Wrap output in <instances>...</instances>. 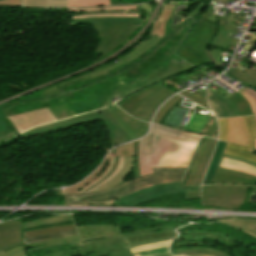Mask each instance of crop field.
Segmentation results:
<instances>
[{
    "instance_id": "crop-field-52",
    "label": "crop field",
    "mask_w": 256,
    "mask_h": 256,
    "mask_svg": "<svg viewBox=\"0 0 256 256\" xmlns=\"http://www.w3.org/2000/svg\"><path fill=\"white\" fill-rule=\"evenodd\" d=\"M118 159H119V157H115L114 164H113L112 169H111V171L109 172V174H108L106 177H104L101 181H99L97 184H95L93 187H95V186H97L98 184H100L103 180H105V179L114 171V169H115V167H116V165H117V163H118ZM93 187H91V188H93ZM91 188H89V189H91ZM89 189H88V190H89ZM88 190H86V191H88ZM86 191H84V192H86ZM84 192H82V193H84Z\"/></svg>"
},
{
    "instance_id": "crop-field-62",
    "label": "crop field",
    "mask_w": 256,
    "mask_h": 256,
    "mask_svg": "<svg viewBox=\"0 0 256 256\" xmlns=\"http://www.w3.org/2000/svg\"><path fill=\"white\" fill-rule=\"evenodd\" d=\"M108 155H110V153Z\"/></svg>"
},
{
    "instance_id": "crop-field-2",
    "label": "crop field",
    "mask_w": 256,
    "mask_h": 256,
    "mask_svg": "<svg viewBox=\"0 0 256 256\" xmlns=\"http://www.w3.org/2000/svg\"><path fill=\"white\" fill-rule=\"evenodd\" d=\"M176 227L142 229L122 233L123 238H113L80 244L78 236L27 245L28 256H127V247L166 241L175 238Z\"/></svg>"
},
{
    "instance_id": "crop-field-47",
    "label": "crop field",
    "mask_w": 256,
    "mask_h": 256,
    "mask_svg": "<svg viewBox=\"0 0 256 256\" xmlns=\"http://www.w3.org/2000/svg\"><path fill=\"white\" fill-rule=\"evenodd\" d=\"M153 0H111V5L114 4H135V3H144L151 2Z\"/></svg>"
},
{
    "instance_id": "crop-field-55",
    "label": "crop field",
    "mask_w": 256,
    "mask_h": 256,
    "mask_svg": "<svg viewBox=\"0 0 256 256\" xmlns=\"http://www.w3.org/2000/svg\"><path fill=\"white\" fill-rule=\"evenodd\" d=\"M203 139H204V137L202 138V140H201V142H200V144H199V147H200V145H201ZM199 147H198V149H199ZM198 149H197V151H196V153H195V155H194V157H193V159H192V161H191V163H190V166H189V168H188V170H187V173H186V176H185V178H184V182H183V186H182V187L185 186V182H186V178H187L188 172H189L190 167H191V165H192V163H193V161H194V159H195V157H196V154H197V152H198Z\"/></svg>"
},
{
    "instance_id": "crop-field-16",
    "label": "crop field",
    "mask_w": 256,
    "mask_h": 256,
    "mask_svg": "<svg viewBox=\"0 0 256 256\" xmlns=\"http://www.w3.org/2000/svg\"><path fill=\"white\" fill-rule=\"evenodd\" d=\"M76 228L78 229L81 243L105 238L121 237L119 226H79Z\"/></svg>"
},
{
    "instance_id": "crop-field-51",
    "label": "crop field",
    "mask_w": 256,
    "mask_h": 256,
    "mask_svg": "<svg viewBox=\"0 0 256 256\" xmlns=\"http://www.w3.org/2000/svg\"><path fill=\"white\" fill-rule=\"evenodd\" d=\"M0 5L20 6V0H0Z\"/></svg>"
},
{
    "instance_id": "crop-field-19",
    "label": "crop field",
    "mask_w": 256,
    "mask_h": 256,
    "mask_svg": "<svg viewBox=\"0 0 256 256\" xmlns=\"http://www.w3.org/2000/svg\"><path fill=\"white\" fill-rule=\"evenodd\" d=\"M229 142H233L239 145L247 147L248 136L244 117L229 118Z\"/></svg>"
},
{
    "instance_id": "crop-field-43",
    "label": "crop field",
    "mask_w": 256,
    "mask_h": 256,
    "mask_svg": "<svg viewBox=\"0 0 256 256\" xmlns=\"http://www.w3.org/2000/svg\"><path fill=\"white\" fill-rule=\"evenodd\" d=\"M217 121H218L219 129H220V137H219V139L227 141V138H228V128H227L226 119H219Z\"/></svg>"
},
{
    "instance_id": "crop-field-32",
    "label": "crop field",
    "mask_w": 256,
    "mask_h": 256,
    "mask_svg": "<svg viewBox=\"0 0 256 256\" xmlns=\"http://www.w3.org/2000/svg\"><path fill=\"white\" fill-rule=\"evenodd\" d=\"M67 221H72L71 216L70 215H61V216H57V217H53V218H45V219L38 220V221L23 223L22 229L38 227V226L52 224V223H58V222H67Z\"/></svg>"
},
{
    "instance_id": "crop-field-39",
    "label": "crop field",
    "mask_w": 256,
    "mask_h": 256,
    "mask_svg": "<svg viewBox=\"0 0 256 256\" xmlns=\"http://www.w3.org/2000/svg\"><path fill=\"white\" fill-rule=\"evenodd\" d=\"M250 104L253 114H256V92L247 86L238 91Z\"/></svg>"
},
{
    "instance_id": "crop-field-18",
    "label": "crop field",
    "mask_w": 256,
    "mask_h": 256,
    "mask_svg": "<svg viewBox=\"0 0 256 256\" xmlns=\"http://www.w3.org/2000/svg\"><path fill=\"white\" fill-rule=\"evenodd\" d=\"M208 105L214 111L216 117L225 118L239 116L235 106L228 99H225L208 90Z\"/></svg>"
},
{
    "instance_id": "crop-field-1",
    "label": "crop field",
    "mask_w": 256,
    "mask_h": 256,
    "mask_svg": "<svg viewBox=\"0 0 256 256\" xmlns=\"http://www.w3.org/2000/svg\"><path fill=\"white\" fill-rule=\"evenodd\" d=\"M190 23H193L192 19L187 20L185 25H183L178 32L171 35L163 45H160V48H157L155 52L151 53L144 61L138 64H130L126 69H124V71H121L112 77L96 84H92L89 87L82 88L81 90H76L44 101L24 102L19 105L2 109V111L7 117H9L66 103L70 111H73L75 114H81L109 106L112 104V100L117 97L122 98L127 94L157 82L166 76L190 69L193 66L172 54L188 31V25ZM172 57H175L180 61L175 66L168 62L169 58ZM88 88H91L94 93L92 99L88 100H98V102L91 104L89 108H85L78 105V102L86 100V97L80 99L79 96L80 91ZM7 117L5 120L6 127H8V129L0 132V143L18 134L17 130Z\"/></svg>"
},
{
    "instance_id": "crop-field-10",
    "label": "crop field",
    "mask_w": 256,
    "mask_h": 256,
    "mask_svg": "<svg viewBox=\"0 0 256 256\" xmlns=\"http://www.w3.org/2000/svg\"><path fill=\"white\" fill-rule=\"evenodd\" d=\"M200 187L181 188V182L167 183L147 188L114 202L115 205H136L165 195L199 191Z\"/></svg>"
},
{
    "instance_id": "crop-field-17",
    "label": "crop field",
    "mask_w": 256,
    "mask_h": 256,
    "mask_svg": "<svg viewBox=\"0 0 256 256\" xmlns=\"http://www.w3.org/2000/svg\"><path fill=\"white\" fill-rule=\"evenodd\" d=\"M212 184L256 185V177L219 167Z\"/></svg>"
},
{
    "instance_id": "crop-field-23",
    "label": "crop field",
    "mask_w": 256,
    "mask_h": 256,
    "mask_svg": "<svg viewBox=\"0 0 256 256\" xmlns=\"http://www.w3.org/2000/svg\"><path fill=\"white\" fill-rule=\"evenodd\" d=\"M174 4H164L153 25L151 35L162 37L164 35L165 21L169 19ZM161 18V20H159Z\"/></svg>"
},
{
    "instance_id": "crop-field-42",
    "label": "crop field",
    "mask_w": 256,
    "mask_h": 256,
    "mask_svg": "<svg viewBox=\"0 0 256 256\" xmlns=\"http://www.w3.org/2000/svg\"><path fill=\"white\" fill-rule=\"evenodd\" d=\"M169 244H170V241H166V242H160V243H154V244L132 247V248H129V249H130L131 253H134V252L151 250V249H156V248H161V247H167V246H169Z\"/></svg>"
},
{
    "instance_id": "crop-field-34",
    "label": "crop field",
    "mask_w": 256,
    "mask_h": 256,
    "mask_svg": "<svg viewBox=\"0 0 256 256\" xmlns=\"http://www.w3.org/2000/svg\"><path fill=\"white\" fill-rule=\"evenodd\" d=\"M73 229H76V228H75L74 224H71V225L51 227V228H45V229L24 232L22 234H23V238H27V237H34V236H38V235L66 231V230H73Z\"/></svg>"
},
{
    "instance_id": "crop-field-57",
    "label": "crop field",
    "mask_w": 256,
    "mask_h": 256,
    "mask_svg": "<svg viewBox=\"0 0 256 256\" xmlns=\"http://www.w3.org/2000/svg\"><path fill=\"white\" fill-rule=\"evenodd\" d=\"M185 196H186V199L197 198V197H200V193L199 192L185 193Z\"/></svg>"
},
{
    "instance_id": "crop-field-36",
    "label": "crop field",
    "mask_w": 256,
    "mask_h": 256,
    "mask_svg": "<svg viewBox=\"0 0 256 256\" xmlns=\"http://www.w3.org/2000/svg\"><path fill=\"white\" fill-rule=\"evenodd\" d=\"M110 5L109 0H68L67 7Z\"/></svg>"
},
{
    "instance_id": "crop-field-5",
    "label": "crop field",
    "mask_w": 256,
    "mask_h": 256,
    "mask_svg": "<svg viewBox=\"0 0 256 256\" xmlns=\"http://www.w3.org/2000/svg\"><path fill=\"white\" fill-rule=\"evenodd\" d=\"M109 163L110 157L107 156L101 166L91 176L70 188H65L68 204H112L115 199L143 188L160 183L181 181L187 169L182 167H156L152 168L154 174L132 179L115 188L92 194L75 195L98 179L106 171Z\"/></svg>"
},
{
    "instance_id": "crop-field-12",
    "label": "crop field",
    "mask_w": 256,
    "mask_h": 256,
    "mask_svg": "<svg viewBox=\"0 0 256 256\" xmlns=\"http://www.w3.org/2000/svg\"><path fill=\"white\" fill-rule=\"evenodd\" d=\"M70 19L97 17H140L136 5L68 9Z\"/></svg>"
},
{
    "instance_id": "crop-field-26",
    "label": "crop field",
    "mask_w": 256,
    "mask_h": 256,
    "mask_svg": "<svg viewBox=\"0 0 256 256\" xmlns=\"http://www.w3.org/2000/svg\"><path fill=\"white\" fill-rule=\"evenodd\" d=\"M252 152H253V149L228 143L224 153L233 155V156H238L252 162H256V156L253 155Z\"/></svg>"
},
{
    "instance_id": "crop-field-29",
    "label": "crop field",
    "mask_w": 256,
    "mask_h": 256,
    "mask_svg": "<svg viewBox=\"0 0 256 256\" xmlns=\"http://www.w3.org/2000/svg\"><path fill=\"white\" fill-rule=\"evenodd\" d=\"M75 235H77V232H76V230H73V231L43 235V236L34 237V238H27V239H23V241H24V245H27V244H32V243H38V242H43V241H48V240L64 238V237H71V236H75Z\"/></svg>"
},
{
    "instance_id": "crop-field-44",
    "label": "crop field",
    "mask_w": 256,
    "mask_h": 256,
    "mask_svg": "<svg viewBox=\"0 0 256 256\" xmlns=\"http://www.w3.org/2000/svg\"><path fill=\"white\" fill-rule=\"evenodd\" d=\"M116 155H133L132 143L117 147Z\"/></svg>"
},
{
    "instance_id": "crop-field-30",
    "label": "crop field",
    "mask_w": 256,
    "mask_h": 256,
    "mask_svg": "<svg viewBox=\"0 0 256 256\" xmlns=\"http://www.w3.org/2000/svg\"><path fill=\"white\" fill-rule=\"evenodd\" d=\"M210 141H211V139L205 138V140H204V142H203V144H202V146H201V148H200V150H199V152L197 154L195 162H194V164H193V166H192V168H191V170L189 172V175H188L185 187L192 186L194 175H195V173H196V171H197V169L199 167L201 159H202V157H203V155H204V153H205V151H206Z\"/></svg>"
},
{
    "instance_id": "crop-field-35",
    "label": "crop field",
    "mask_w": 256,
    "mask_h": 256,
    "mask_svg": "<svg viewBox=\"0 0 256 256\" xmlns=\"http://www.w3.org/2000/svg\"><path fill=\"white\" fill-rule=\"evenodd\" d=\"M182 232H202L204 233V238H207V239H213V240H218V241H222L226 244H229V243H236L238 244L239 241L233 239V238H230L228 236H225L223 234H220V233H216V232H213V231H202V230H187V231H181L180 233Z\"/></svg>"
},
{
    "instance_id": "crop-field-56",
    "label": "crop field",
    "mask_w": 256,
    "mask_h": 256,
    "mask_svg": "<svg viewBox=\"0 0 256 256\" xmlns=\"http://www.w3.org/2000/svg\"><path fill=\"white\" fill-rule=\"evenodd\" d=\"M177 255H185V256H212L206 253H187V254H177Z\"/></svg>"
},
{
    "instance_id": "crop-field-41",
    "label": "crop field",
    "mask_w": 256,
    "mask_h": 256,
    "mask_svg": "<svg viewBox=\"0 0 256 256\" xmlns=\"http://www.w3.org/2000/svg\"><path fill=\"white\" fill-rule=\"evenodd\" d=\"M245 118H246V122H247L248 136H249L248 147L254 149V138H256L255 120H254L253 116H248Z\"/></svg>"
},
{
    "instance_id": "crop-field-63",
    "label": "crop field",
    "mask_w": 256,
    "mask_h": 256,
    "mask_svg": "<svg viewBox=\"0 0 256 256\" xmlns=\"http://www.w3.org/2000/svg\"><path fill=\"white\" fill-rule=\"evenodd\" d=\"M206 1H208V0H206Z\"/></svg>"
},
{
    "instance_id": "crop-field-53",
    "label": "crop field",
    "mask_w": 256,
    "mask_h": 256,
    "mask_svg": "<svg viewBox=\"0 0 256 256\" xmlns=\"http://www.w3.org/2000/svg\"><path fill=\"white\" fill-rule=\"evenodd\" d=\"M113 161H114V157H111V163H110V166H109V168L107 169V171H106L98 180H96L94 183H92L91 185H89L88 187H86L85 189H83L82 191H84V190H86L87 188L93 186L95 183H97L99 180H101L104 176H106V175L108 174V172H109L111 166H112ZM82 191H81V192H82ZM81 192H79L78 194H80Z\"/></svg>"
},
{
    "instance_id": "crop-field-48",
    "label": "crop field",
    "mask_w": 256,
    "mask_h": 256,
    "mask_svg": "<svg viewBox=\"0 0 256 256\" xmlns=\"http://www.w3.org/2000/svg\"><path fill=\"white\" fill-rule=\"evenodd\" d=\"M123 161H124V156L120 157L119 164H118L116 170H115L104 182H102L100 185L106 183L108 180H110L113 176H115V175L121 170L122 165H123ZM100 185H99V186H100ZM97 187H98V186H97ZM94 189H95V188H94ZM92 190H93V189H92ZM92 190H90V191H92ZM90 191H88V192H90ZM88 192H86V193H88Z\"/></svg>"
},
{
    "instance_id": "crop-field-28",
    "label": "crop field",
    "mask_w": 256,
    "mask_h": 256,
    "mask_svg": "<svg viewBox=\"0 0 256 256\" xmlns=\"http://www.w3.org/2000/svg\"><path fill=\"white\" fill-rule=\"evenodd\" d=\"M227 220H230V222H226V223L256 236V220H247V219H239V218H232ZM220 221H223V220H220Z\"/></svg>"
},
{
    "instance_id": "crop-field-7",
    "label": "crop field",
    "mask_w": 256,
    "mask_h": 256,
    "mask_svg": "<svg viewBox=\"0 0 256 256\" xmlns=\"http://www.w3.org/2000/svg\"><path fill=\"white\" fill-rule=\"evenodd\" d=\"M100 120H104L107 125L108 133L111 140V147L121 142L131 140L127 132L122 128V126L117 122V120L111 115V113L107 109L82 115L79 117L51 123L48 125L36 127L23 133L22 137H28V136H33L37 134L59 131L69 126L80 125V124L100 121Z\"/></svg>"
},
{
    "instance_id": "crop-field-3",
    "label": "crop field",
    "mask_w": 256,
    "mask_h": 256,
    "mask_svg": "<svg viewBox=\"0 0 256 256\" xmlns=\"http://www.w3.org/2000/svg\"><path fill=\"white\" fill-rule=\"evenodd\" d=\"M199 7L200 5L195 4L177 3L174 8V13L171 19L166 21L165 35L162 38L150 35L148 37V40H145L143 43L129 51L123 57L117 59L119 62L116 64L114 62H111L102 67H97L83 74L55 83L43 89L42 93L40 94L34 95L32 97L19 99L14 103L2 105L0 106V108H3L8 105H13L21 101L48 98L59 93L83 87L95 81H99L108 75L113 74L114 72L122 69L125 65H127V63L138 62L140 59H142L144 56L150 53L153 49H155L159 44L163 43L165 38L172 34L179 26H181L185 19L190 18Z\"/></svg>"
},
{
    "instance_id": "crop-field-54",
    "label": "crop field",
    "mask_w": 256,
    "mask_h": 256,
    "mask_svg": "<svg viewBox=\"0 0 256 256\" xmlns=\"http://www.w3.org/2000/svg\"><path fill=\"white\" fill-rule=\"evenodd\" d=\"M216 128H217V123H216V120L214 119L213 123L211 124L210 128L205 133V135L211 137L214 131L216 130Z\"/></svg>"
},
{
    "instance_id": "crop-field-13",
    "label": "crop field",
    "mask_w": 256,
    "mask_h": 256,
    "mask_svg": "<svg viewBox=\"0 0 256 256\" xmlns=\"http://www.w3.org/2000/svg\"><path fill=\"white\" fill-rule=\"evenodd\" d=\"M9 120L12 122L18 132L22 133L37 125L55 121V118L53 117L49 109L45 108L34 112L10 117Z\"/></svg>"
},
{
    "instance_id": "crop-field-49",
    "label": "crop field",
    "mask_w": 256,
    "mask_h": 256,
    "mask_svg": "<svg viewBox=\"0 0 256 256\" xmlns=\"http://www.w3.org/2000/svg\"><path fill=\"white\" fill-rule=\"evenodd\" d=\"M179 94H181V95L184 96L185 98H187V99H189V100H191V101H193V102H195V103H197V104H199V105H201V106H203V107H205L206 109L209 110V108H208V106H207L206 103H204V102H202V101H200V100H198V99H196V98H194V97H192V96H190V95L184 93L183 91L180 92Z\"/></svg>"
},
{
    "instance_id": "crop-field-22",
    "label": "crop field",
    "mask_w": 256,
    "mask_h": 256,
    "mask_svg": "<svg viewBox=\"0 0 256 256\" xmlns=\"http://www.w3.org/2000/svg\"><path fill=\"white\" fill-rule=\"evenodd\" d=\"M132 166H133V157L125 156V162H124L123 169L115 177H113L110 181H108L105 185L95 189L92 192H97V191H101V190L108 189L111 187H115L120 182H122L124 178L127 177Z\"/></svg>"
},
{
    "instance_id": "crop-field-31",
    "label": "crop field",
    "mask_w": 256,
    "mask_h": 256,
    "mask_svg": "<svg viewBox=\"0 0 256 256\" xmlns=\"http://www.w3.org/2000/svg\"><path fill=\"white\" fill-rule=\"evenodd\" d=\"M228 99H230L236 106L240 116L253 115L248 102L239 93H234L229 96Z\"/></svg>"
},
{
    "instance_id": "crop-field-33",
    "label": "crop field",
    "mask_w": 256,
    "mask_h": 256,
    "mask_svg": "<svg viewBox=\"0 0 256 256\" xmlns=\"http://www.w3.org/2000/svg\"><path fill=\"white\" fill-rule=\"evenodd\" d=\"M227 72L234 78L248 86H256V71L248 70L246 76H244L236 71L233 67H230Z\"/></svg>"
},
{
    "instance_id": "crop-field-9",
    "label": "crop field",
    "mask_w": 256,
    "mask_h": 256,
    "mask_svg": "<svg viewBox=\"0 0 256 256\" xmlns=\"http://www.w3.org/2000/svg\"><path fill=\"white\" fill-rule=\"evenodd\" d=\"M246 187L205 186L202 189L203 205L238 209L245 197Z\"/></svg>"
},
{
    "instance_id": "crop-field-11",
    "label": "crop field",
    "mask_w": 256,
    "mask_h": 256,
    "mask_svg": "<svg viewBox=\"0 0 256 256\" xmlns=\"http://www.w3.org/2000/svg\"><path fill=\"white\" fill-rule=\"evenodd\" d=\"M22 222L0 224V256H27L21 235Z\"/></svg>"
},
{
    "instance_id": "crop-field-59",
    "label": "crop field",
    "mask_w": 256,
    "mask_h": 256,
    "mask_svg": "<svg viewBox=\"0 0 256 256\" xmlns=\"http://www.w3.org/2000/svg\"><path fill=\"white\" fill-rule=\"evenodd\" d=\"M232 62H234V61H232ZM234 63H235V62H234ZM235 64L238 65L237 63H235ZM238 66H239V65H238ZM239 67H241V66H239ZM241 68L247 72L246 69H244L243 67H241Z\"/></svg>"
},
{
    "instance_id": "crop-field-21",
    "label": "crop field",
    "mask_w": 256,
    "mask_h": 256,
    "mask_svg": "<svg viewBox=\"0 0 256 256\" xmlns=\"http://www.w3.org/2000/svg\"><path fill=\"white\" fill-rule=\"evenodd\" d=\"M235 29H236L235 26H231L226 23L224 24L223 27L218 26V32L214 40L211 42L210 46H214L222 49H226L228 44L237 46L239 42L238 39L226 37L229 31H235Z\"/></svg>"
},
{
    "instance_id": "crop-field-45",
    "label": "crop field",
    "mask_w": 256,
    "mask_h": 256,
    "mask_svg": "<svg viewBox=\"0 0 256 256\" xmlns=\"http://www.w3.org/2000/svg\"><path fill=\"white\" fill-rule=\"evenodd\" d=\"M167 253H169L168 248H165V249L146 251V252L134 254L133 256H157V255H162Z\"/></svg>"
},
{
    "instance_id": "crop-field-58",
    "label": "crop field",
    "mask_w": 256,
    "mask_h": 256,
    "mask_svg": "<svg viewBox=\"0 0 256 256\" xmlns=\"http://www.w3.org/2000/svg\"><path fill=\"white\" fill-rule=\"evenodd\" d=\"M223 156L228 157V158H231V159L243 161V162H246V163L251 164V165H253V166H256V163H252V162L246 161V160L241 159V158H237V157H233V156H229V155H225V154H224Z\"/></svg>"
},
{
    "instance_id": "crop-field-24",
    "label": "crop field",
    "mask_w": 256,
    "mask_h": 256,
    "mask_svg": "<svg viewBox=\"0 0 256 256\" xmlns=\"http://www.w3.org/2000/svg\"><path fill=\"white\" fill-rule=\"evenodd\" d=\"M225 145H226V142L218 141L217 148L214 152V157H213L212 162L209 166V169L207 171V174L205 176L203 184H211L212 183L214 174H215V172L218 168L219 161H220V158H221V155H222V152L224 150Z\"/></svg>"
},
{
    "instance_id": "crop-field-61",
    "label": "crop field",
    "mask_w": 256,
    "mask_h": 256,
    "mask_svg": "<svg viewBox=\"0 0 256 256\" xmlns=\"http://www.w3.org/2000/svg\"><path fill=\"white\" fill-rule=\"evenodd\" d=\"M162 256H173V255L167 254V255H162Z\"/></svg>"
},
{
    "instance_id": "crop-field-14",
    "label": "crop field",
    "mask_w": 256,
    "mask_h": 256,
    "mask_svg": "<svg viewBox=\"0 0 256 256\" xmlns=\"http://www.w3.org/2000/svg\"><path fill=\"white\" fill-rule=\"evenodd\" d=\"M174 93L175 92L166 87L152 94L137 107L132 116L139 120L149 122L157 107Z\"/></svg>"
},
{
    "instance_id": "crop-field-38",
    "label": "crop field",
    "mask_w": 256,
    "mask_h": 256,
    "mask_svg": "<svg viewBox=\"0 0 256 256\" xmlns=\"http://www.w3.org/2000/svg\"><path fill=\"white\" fill-rule=\"evenodd\" d=\"M179 99H181V97L176 95L172 97L168 102H166L156 113L153 122L159 124V122L162 120L163 116L166 114L169 108L173 106Z\"/></svg>"
},
{
    "instance_id": "crop-field-46",
    "label": "crop field",
    "mask_w": 256,
    "mask_h": 256,
    "mask_svg": "<svg viewBox=\"0 0 256 256\" xmlns=\"http://www.w3.org/2000/svg\"><path fill=\"white\" fill-rule=\"evenodd\" d=\"M133 145H134V166L133 167L135 171L134 178H136L140 176L139 167H138V140L133 142Z\"/></svg>"
},
{
    "instance_id": "crop-field-50",
    "label": "crop field",
    "mask_w": 256,
    "mask_h": 256,
    "mask_svg": "<svg viewBox=\"0 0 256 256\" xmlns=\"http://www.w3.org/2000/svg\"><path fill=\"white\" fill-rule=\"evenodd\" d=\"M140 7V11L142 13V11L144 12H151L152 13V5L151 4H146V5H139ZM151 14L147 15V19L143 20V24L148 20V18L150 17Z\"/></svg>"
},
{
    "instance_id": "crop-field-40",
    "label": "crop field",
    "mask_w": 256,
    "mask_h": 256,
    "mask_svg": "<svg viewBox=\"0 0 256 256\" xmlns=\"http://www.w3.org/2000/svg\"><path fill=\"white\" fill-rule=\"evenodd\" d=\"M49 109L55 116L56 120L72 117L74 115L69 111L66 104L50 107Z\"/></svg>"
},
{
    "instance_id": "crop-field-15",
    "label": "crop field",
    "mask_w": 256,
    "mask_h": 256,
    "mask_svg": "<svg viewBox=\"0 0 256 256\" xmlns=\"http://www.w3.org/2000/svg\"><path fill=\"white\" fill-rule=\"evenodd\" d=\"M113 116L118 120V122L123 126V128L128 132L132 139H137L146 134L149 124L140 122L116 106L107 108Z\"/></svg>"
},
{
    "instance_id": "crop-field-25",
    "label": "crop field",
    "mask_w": 256,
    "mask_h": 256,
    "mask_svg": "<svg viewBox=\"0 0 256 256\" xmlns=\"http://www.w3.org/2000/svg\"><path fill=\"white\" fill-rule=\"evenodd\" d=\"M219 166L226 167V168L240 171V172H244V173H248V174H252V175H256V167H253V166L248 165L243 162L224 158V157L222 158Z\"/></svg>"
},
{
    "instance_id": "crop-field-37",
    "label": "crop field",
    "mask_w": 256,
    "mask_h": 256,
    "mask_svg": "<svg viewBox=\"0 0 256 256\" xmlns=\"http://www.w3.org/2000/svg\"><path fill=\"white\" fill-rule=\"evenodd\" d=\"M170 252L172 254L186 253V252H207L215 256H227L226 254L212 248H180V249L170 250Z\"/></svg>"
},
{
    "instance_id": "crop-field-8",
    "label": "crop field",
    "mask_w": 256,
    "mask_h": 256,
    "mask_svg": "<svg viewBox=\"0 0 256 256\" xmlns=\"http://www.w3.org/2000/svg\"><path fill=\"white\" fill-rule=\"evenodd\" d=\"M211 10V7H207L202 13L176 54L194 66L210 62L205 46L211 40L215 32V26L204 19H206Z\"/></svg>"
},
{
    "instance_id": "crop-field-60",
    "label": "crop field",
    "mask_w": 256,
    "mask_h": 256,
    "mask_svg": "<svg viewBox=\"0 0 256 256\" xmlns=\"http://www.w3.org/2000/svg\"><path fill=\"white\" fill-rule=\"evenodd\" d=\"M255 117V120H256V116H254ZM255 149H256V139H255Z\"/></svg>"
},
{
    "instance_id": "crop-field-6",
    "label": "crop field",
    "mask_w": 256,
    "mask_h": 256,
    "mask_svg": "<svg viewBox=\"0 0 256 256\" xmlns=\"http://www.w3.org/2000/svg\"><path fill=\"white\" fill-rule=\"evenodd\" d=\"M117 20V22H115ZM72 26L91 25L96 31L101 43L93 52L105 51L123 39L132 31L134 25H140V18H98L71 20Z\"/></svg>"
},
{
    "instance_id": "crop-field-4",
    "label": "crop field",
    "mask_w": 256,
    "mask_h": 256,
    "mask_svg": "<svg viewBox=\"0 0 256 256\" xmlns=\"http://www.w3.org/2000/svg\"><path fill=\"white\" fill-rule=\"evenodd\" d=\"M201 137L200 135L180 132L153 123L150 155L143 156V139L139 140L141 176L153 173L151 167L156 166L187 167Z\"/></svg>"
},
{
    "instance_id": "crop-field-27",
    "label": "crop field",
    "mask_w": 256,
    "mask_h": 256,
    "mask_svg": "<svg viewBox=\"0 0 256 256\" xmlns=\"http://www.w3.org/2000/svg\"><path fill=\"white\" fill-rule=\"evenodd\" d=\"M215 143H216V140H212L208 150L206 151L203 159H202V162L200 164V167H199V170L195 176V179H194V184L193 186H200L201 185V181H202V177L204 175V172L206 170V167L210 161V158H211V155H212V152L214 150V147H215Z\"/></svg>"
},
{
    "instance_id": "crop-field-20",
    "label": "crop field",
    "mask_w": 256,
    "mask_h": 256,
    "mask_svg": "<svg viewBox=\"0 0 256 256\" xmlns=\"http://www.w3.org/2000/svg\"><path fill=\"white\" fill-rule=\"evenodd\" d=\"M165 86L158 84L146 90L140 91L138 93L133 94L125 101H123L120 105H118L123 111L127 112L128 114H132V112L136 109V107L149 95L156 92L157 90L163 88Z\"/></svg>"
}]
</instances>
